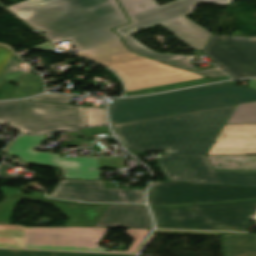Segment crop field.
Returning <instances> with one entry per match:
<instances>
[{
  "label": "crop field",
  "mask_w": 256,
  "mask_h": 256,
  "mask_svg": "<svg viewBox=\"0 0 256 256\" xmlns=\"http://www.w3.org/2000/svg\"><path fill=\"white\" fill-rule=\"evenodd\" d=\"M237 105L111 125L134 155L163 150L156 163L169 181L256 186V172L215 171L206 155Z\"/></svg>",
  "instance_id": "crop-field-1"
},
{
  "label": "crop field",
  "mask_w": 256,
  "mask_h": 256,
  "mask_svg": "<svg viewBox=\"0 0 256 256\" xmlns=\"http://www.w3.org/2000/svg\"><path fill=\"white\" fill-rule=\"evenodd\" d=\"M53 43L69 39L80 50L118 37L128 23L116 0H26L7 7Z\"/></svg>",
  "instance_id": "crop-field-2"
},
{
  "label": "crop field",
  "mask_w": 256,
  "mask_h": 256,
  "mask_svg": "<svg viewBox=\"0 0 256 256\" xmlns=\"http://www.w3.org/2000/svg\"><path fill=\"white\" fill-rule=\"evenodd\" d=\"M256 101V90L219 83L160 95L115 100L111 124Z\"/></svg>",
  "instance_id": "crop-field-3"
},
{
  "label": "crop field",
  "mask_w": 256,
  "mask_h": 256,
  "mask_svg": "<svg viewBox=\"0 0 256 256\" xmlns=\"http://www.w3.org/2000/svg\"><path fill=\"white\" fill-rule=\"evenodd\" d=\"M132 24L115 29L124 36L153 25H161L194 49L202 51L212 35L184 15L193 13L196 4L210 2L225 5L232 0H174L158 6L154 0H118Z\"/></svg>",
  "instance_id": "crop-field-4"
},
{
  "label": "crop field",
  "mask_w": 256,
  "mask_h": 256,
  "mask_svg": "<svg viewBox=\"0 0 256 256\" xmlns=\"http://www.w3.org/2000/svg\"><path fill=\"white\" fill-rule=\"evenodd\" d=\"M114 70L124 81L126 91L205 78L163 65L130 52L120 39L77 54Z\"/></svg>",
  "instance_id": "crop-field-5"
},
{
  "label": "crop field",
  "mask_w": 256,
  "mask_h": 256,
  "mask_svg": "<svg viewBox=\"0 0 256 256\" xmlns=\"http://www.w3.org/2000/svg\"><path fill=\"white\" fill-rule=\"evenodd\" d=\"M157 228L246 232L256 201L151 208Z\"/></svg>",
  "instance_id": "crop-field-6"
},
{
  "label": "crop field",
  "mask_w": 256,
  "mask_h": 256,
  "mask_svg": "<svg viewBox=\"0 0 256 256\" xmlns=\"http://www.w3.org/2000/svg\"><path fill=\"white\" fill-rule=\"evenodd\" d=\"M0 124L26 134L87 127L84 107L30 100L0 103Z\"/></svg>",
  "instance_id": "crop-field-7"
},
{
  "label": "crop field",
  "mask_w": 256,
  "mask_h": 256,
  "mask_svg": "<svg viewBox=\"0 0 256 256\" xmlns=\"http://www.w3.org/2000/svg\"><path fill=\"white\" fill-rule=\"evenodd\" d=\"M107 228H38L0 225V247L104 252L99 242Z\"/></svg>",
  "instance_id": "crop-field-8"
},
{
  "label": "crop field",
  "mask_w": 256,
  "mask_h": 256,
  "mask_svg": "<svg viewBox=\"0 0 256 256\" xmlns=\"http://www.w3.org/2000/svg\"><path fill=\"white\" fill-rule=\"evenodd\" d=\"M256 198V187L194 185L185 182H152L150 206L220 202Z\"/></svg>",
  "instance_id": "crop-field-9"
},
{
  "label": "crop field",
  "mask_w": 256,
  "mask_h": 256,
  "mask_svg": "<svg viewBox=\"0 0 256 256\" xmlns=\"http://www.w3.org/2000/svg\"><path fill=\"white\" fill-rule=\"evenodd\" d=\"M202 53L234 79L256 77V38L211 36Z\"/></svg>",
  "instance_id": "crop-field-10"
},
{
  "label": "crop field",
  "mask_w": 256,
  "mask_h": 256,
  "mask_svg": "<svg viewBox=\"0 0 256 256\" xmlns=\"http://www.w3.org/2000/svg\"><path fill=\"white\" fill-rule=\"evenodd\" d=\"M46 137L21 135L9 145L6 154L16 155L25 162L59 167L64 178L100 179L97 157L60 158L58 154L32 151Z\"/></svg>",
  "instance_id": "crop-field-11"
},
{
  "label": "crop field",
  "mask_w": 256,
  "mask_h": 256,
  "mask_svg": "<svg viewBox=\"0 0 256 256\" xmlns=\"http://www.w3.org/2000/svg\"><path fill=\"white\" fill-rule=\"evenodd\" d=\"M141 190L105 189L102 181L61 180L48 197L107 203H145Z\"/></svg>",
  "instance_id": "crop-field-12"
},
{
  "label": "crop field",
  "mask_w": 256,
  "mask_h": 256,
  "mask_svg": "<svg viewBox=\"0 0 256 256\" xmlns=\"http://www.w3.org/2000/svg\"><path fill=\"white\" fill-rule=\"evenodd\" d=\"M4 202L0 203V222H8L13 212L14 204L20 198L52 202L58 209L70 217L67 224L93 225L106 205L82 204L69 201L32 197L25 195L7 194Z\"/></svg>",
  "instance_id": "crop-field-13"
},
{
  "label": "crop field",
  "mask_w": 256,
  "mask_h": 256,
  "mask_svg": "<svg viewBox=\"0 0 256 256\" xmlns=\"http://www.w3.org/2000/svg\"><path fill=\"white\" fill-rule=\"evenodd\" d=\"M256 154V125H225L208 155Z\"/></svg>",
  "instance_id": "crop-field-14"
},
{
  "label": "crop field",
  "mask_w": 256,
  "mask_h": 256,
  "mask_svg": "<svg viewBox=\"0 0 256 256\" xmlns=\"http://www.w3.org/2000/svg\"><path fill=\"white\" fill-rule=\"evenodd\" d=\"M95 227L152 229V222L144 206L110 205Z\"/></svg>",
  "instance_id": "crop-field-15"
},
{
  "label": "crop field",
  "mask_w": 256,
  "mask_h": 256,
  "mask_svg": "<svg viewBox=\"0 0 256 256\" xmlns=\"http://www.w3.org/2000/svg\"><path fill=\"white\" fill-rule=\"evenodd\" d=\"M223 256H256V234L220 233Z\"/></svg>",
  "instance_id": "crop-field-16"
},
{
  "label": "crop field",
  "mask_w": 256,
  "mask_h": 256,
  "mask_svg": "<svg viewBox=\"0 0 256 256\" xmlns=\"http://www.w3.org/2000/svg\"><path fill=\"white\" fill-rule=\"evenodd\" d=\"M207 157L215 170L256 171V155Z\"/></svg>",
  "instance_id": "crop-field-17"
},
{
  "label": "crop field",
  "mask_w": 256,
  "mask_h": 256,
  "mask_svg": "<svg viewBox=\"0 0 256 256\" xmlns=\"http://www.w3.org/2000/svg\"><path fill=\"white\" fill-rule=\"evenodd\" d=\"M192 58H194V57L185 56V55H181V54H176V55L156 58V60H159L161 62L170 64V65H174V66H177V67H180V68H183V69H187V70H190V71H193V72H197V73H200V74H203V75H207V76H210L212 78L226 75L224 72H222L218 68L199 71L190 63V60Z\"/></svg>",
  "instance_id": "crop-field-18"
},
{
  "label": "crop field",
  "mask_w": 256,
  "mask_h": 256,
  "mask_svg": "<svg viewBox=\"0 0 256 256\" xmlns=\"http://www.w3.org/2000/svg\"><path fill=\"white\" fill-rule=\"evenodd\" d=\"M0 256H135V255L75 253V252H50V251H25V250L0 249Z\"/></svg>",
  "instance_id": "crop-field-19"
},
{
  "label": "crop field",
  "mask_w": 256,
  "mask_h": 256,
  "mask_svg": "<svg viewBox=\"0 0 256 256\" xmlns=\"http://www.w3.org/2000/svg\"><path fill=\"white\" fill-rule=\"evenodd\" d=\"M227 123H256V102L238 105Z\"/></svg>",
  "instance_id": "crop-field-20"
},
{
  "label": "crop field",
  "mask_w": 256,
  "mask_h": 256,
  "mask_svg": "<svg viewBox=\"0 0 256 256\" xmlns=\"http://www.w3.org/2000/svg\"><path fill=\"white\" fill-rule=\"evenodd\" d=\"M209 82H216V81L213 79H210V78H205V79L181 82V83H177V84H173V85L153 87V88H147V89L127 92L124 94V96L154 93V92H158V91L184 88V87H188V86H192V85H196V84L209 83Z\"/></svg>",
  "instance_id": "crop-field-21"
},
{
  "label": "crop field",
  "mask_w": 256,
  "mask_h": 256,
  "mask_svg": "<svg viewBox=\"0 0 256 256\" xmlns=\"http://www.w3.org/2000/svg\"><path fill=\"white\" fill-rule=\"evenodd\" d=\"M150 230H139V229H127L125 233L131 236L134 240L127 251H111L120 253H138L144 239L148 235Z\"/></svg>",
  "instance_id": "crop-field-22"
},
{
  "label": "crop field",
  "mask_w": 256,
  "mask_h": 256,
  "mask_svg": "<svg viewBox=\"0 0 256 256\" xmlns=\"http://www.w3.org/2000/svg\"><path fill=\"white\" fill-rule=\"evenodd\" d=\"M123 39L128 44L129 48H131L133 51L143 54L145 56H148L151 58H156V57L171 55V53L159 54V53L149 49L148 47L144 46L143 44L139 43L131 35L124 37Z\"/></svg>",
  "instance_id": "crop-field-23"
},
{
  "label": "crop field",
  "mask_w": 256,
  "mask_h": 256,
  "mask_svg": "<svg viewBox=\"0 0 256 256\" xmlns=\"http://www.w3.org/2000/svg\"><path fill=\"white\" fill-rule=\"evenodd\" d=\"M87 123L89 126L103 125L106 123L105 109L85 107Z\"/></svg>",
  "instance_id": "crop-field-24"
},
{
  "label": "crop field",
  "mask_w": 256,
  "mask_h": 256,
  "mask_svg": "<svg viewBox=\"0 0 256 256\" xmlns=\"http://www.w3.org/2000/svg\"><path fill=\"white\" fill-rule=\"evenodd\" d=\"M72 97L73 96H68V95L47 94V95H42V96H37V97L31 98L30 100L69 104Z\"/></svg>",
  "instance_id": "crop-field-25"
},
{
  "label": "crop field",
  "mask_w": 256,
  "mask_h": 256,
  "mask_svg": "<svg viewBox=\"0 0 256 256\" xmlns=\"http://www.w3.org/2000/svg\"><path fill=\"white\" fill-rule=\"evenodd\" d=\"M154 233L219 236V233L178 230H155Z\"/></svg>",
  "instance_id": "crop-field-26"
},
{
  "label": "crop field",
  "mask_w": 256,
  "mask_h": 256,
  "mask_svg": "<svg viewBox=\"0 0 256 256\" xmlns=\"http://www.w3.org/2000/svg\"><path fill=\"white\" fill-rule=\"evenodd\" d=\"M13 55L14 54L12 53V51L10 49H8L5 46L0 45V73L5 68V66L7 65V63L9 62L10 58Z\"/></svg>",
  "instance_id": "crop-field-27"
},
{
  "label": "crop field",
  "mask_w": 256,
  "mask_h": 256,
  "mask_svg": "<svg viewBox=\"0 0 256 256\" xmlns=\"http://www.w3.org/2000/svg\"><path fill=\"white\" fill-rule=\"evenodd\" d=\"M109 129L107 126L104 127H97V128H91V129H84L82 130L86 135L90 134H96V133H103L107 132Z\"/></svg>",
  "instance_id": "crop-field-28"
},
{
  "label": "crop field",
  "mask_w": 256,
  "mask_h": 256,
  "mask_svg": "<svg viewBox=\"0 0 256 256\" xmlns=\"http://www.w3.org/2000/svg\"><path fill=\"white\" fill-rule=\"evenodd\" d=\"M52 47H54V46L52 44H50L49 42H47V43H43L38 46H35L33 48L38 49V50H44V49H48V48H52Z\"/></svg>",
  "instance_id": "crop-field-29"
},
{
  "label": "crop field",
  "mask_w": 256,
  "mask_h": 256,
  "mask_svg": "<svg viewBox=\"0 0 256 256\" xmlns=\"http://www.w3.org/2000/svg\"><path fill=\"white\" fill-rule=\"evenodd\" d=\"M248 87L256 89V80H249Z\"/></svg>",
  "instance_id": "crop-field-30"
}]
</instances>
